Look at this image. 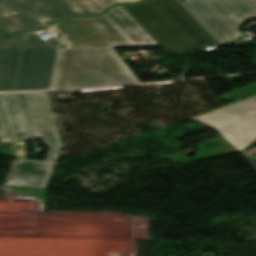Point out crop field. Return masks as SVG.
<instances>
[{
  "label": "crop field",
  "mask_w": 256,
  "mask_h": 256,
  "mask_svg": "<svg viewBox=\"0 0 256 256\" xmlns=\"http://www.w3.org/2000/svg\"><path fill=\"white\" fill-rule=\"evenodd\" d=\"M67 49H60L52 89L141 83L113 47L157 45L121 7L97 18L65 19L51 25Z\"/></svg>",
  "instance_id": "1"
},
{
  "label": "crop field",
  "mask_w": 256,
  "mask_h": 256,
  "mask_svg": "<svg viewBox=\"0 0 256 256\" xmlns=\"http://www.w3.org/2000/svg\"><path fill=\"white\" fill-rule=\"evenodd\" d=\"M180 4L177 0H148L139 5L122 7L166 51H184L217 44Z\"/></svg>",
  "instance_id": "2"
},
{
  "label": "crop field",
  "mask_w": 256,
  "mask_h": 256,
  "mask_svg": "<svg viewBox=\"0 0 256 256\" xmlns=\"http://www.w3.org/2000/svg\"><path fill=\"white\" fill-rule=\"evenodd\" d=\"M23 52L15 90L49 89L57 48L34 32L16 34ZM21 47L0 32V91L13 90Z\"/></svg>",
  "instance_id": "3"
},
{
  "label": "crop field",
  "mask_w": 256,
  "mask_h": 256,
  "mask_svg": "<svg viewBox=\"0 0 256 256\" xmlns=\"http://www.w3.org/2000/svg\"><path fill=\"white\" fill-rule=\"evenodd\" d=\"M1 105L12 141L25 140L38 132L50 147L46 161H56L62 144L53 119L46 92L6 93L0 95Z\"/></svg>",
  "instance_id": "4"
},
{
  "label": "crop field",
  "mask_w": 256,
  "mask_h": 256,
  "mask_svg": "<svg viewBox=\"0 0 256 256\" xmlns=\"http://www.w3.org/2000/svg\"><path fill=\"white\" fill-rule=\"evenodd\" d=\"M183 4L221 42L240 38L239 28L256 17L255 0H186Z\"/></svg>",
  "instance_id": "5"
},
{
  "label": "crop field",
  "mask_w": 256,
  "mask_h": 256,
  "mask_svg": "<svg viewBox=\"0 0 256 256\" xmlns=\"http://www.w3.org/2000/svg\"><path fill=\"white\" fill-rule=\"evenodd\" d=\"M194 119L219 132L240 151L256 141V98Z\"/></svg>",
  "instance_id": "6"
},
{
  "label": "crop field",
  "mask_w": 256,
  "mask_h": 256,
  "mask_svg": "<svg viewBox=\"0 0 256 256\" xmlns=\"http://www.w3.org/2000/svg\"><path fill=\"white\" fill-rule=\"evenodd\" d=\"M115 0H0V11L30 9L45 24L66 16H91L104 12Z\"/></svg>",
  "instance_id": "7"
},
{
  "label": "crop field",
  "mask_w": 256,
  "mask_h": 256,
  "mask_svg": "<svg viewBox=\"0 0 256 256\" xmlns=\"http://www.w3.org/2000/svg\"><path fill=\"white\" fill-rule=\"evenodd\" d=\"M17 178L7 181V186L45 188L56 162H36L18 159Z\"/></svg>",
  "instance_id": "8"
},
{
  "label": "crop field",
  "mask_w": 256,
  "mask_h": 256,
  "mask_svg": "<svg viewBox=\"0 0 256 256\" xmlns=\"http://www.w3.org/2000/svg\"><path fill=\"white\" fill-rule=\"evenodd\" d=\"M43 24L30 10L15 11L13 14L0 13V30L12 33L19 30L39 28Z\"/></svg>",
  "instance_id": "9"
},
{
  "label": "crop field",
  "mask_w": 256,
  "mask_h": 256,
  "mask_svg": "<svg viewBox=\"0 0 256 256\" xmlns=\"http://www.w3.org/2000/svg\"><path fill=\"white\" fill-rule=\"evenodd\" d=\"M0 138L2 141H10L9 140V136H8V132L6 129V125L3 119V115L1 112V108H0Z\"/></svg>",
  "instance_id": "10"
},
{
  "label": "crop field",
  "mask_w": 256,
  "mask_h": 256,
  "mask_svg": "<svg viewBox=\"0 0 256 256\" xmlns=\"http://www.w3.org/2000/svg\"><path fill=\"white\" fill-rule=\"evenodd\" d=\"M245 158L248 160V162L256 169V153L247 155Z\"/></svg>",
  "instance_id": "11"
},
{
  "label": "crop field",
  "mask_w": 256,
  "mask_h": 256,
  "mask_svg": "<svg viewBox=\"0 0 256 256\" xmlns=\"http://www.w3.org/2000/svg\"><path fill=\"white\" fill-rule=\"evenodd\" d=\"M118 3H134L140 0H116Z\"/></svg>",
  "instance_id": "12"
}]
</instances>
